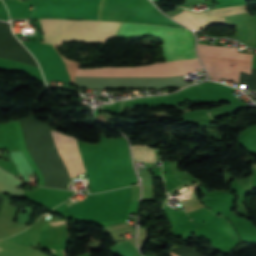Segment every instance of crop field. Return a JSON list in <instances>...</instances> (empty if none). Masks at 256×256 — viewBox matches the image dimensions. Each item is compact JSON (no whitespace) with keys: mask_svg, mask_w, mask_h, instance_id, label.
Instances as JSON below:
<instances>
[{"mask_svg":"<svg viewBox=\"0 0 256 256\" xmlns=\"http://www.w3.org/2000/svg\"><path fill=\"white\" fill-rule=\"evenodd\" d=\"M146 35L161 36L162 51L166 62L198 60L194 50V36L189 30L122 23L116 36L128 38ZM201 68L199 61H182L142 67L78 69L76 76L184 75L188 72L199 71Z\"/></svg>","mask_w":256,"mask_h":256,"instance_id":"crop-field-1","label":"crop field"},{"mask_svg":"<svg viewBox=\"0 0 256 256\" xmlns=\"http://www.w3.org/2000/svg\"><path fill=\"white\" fill-rule=\"evenodd\" d=\"M45 43L61 44L70 41L104 44L114 36L120 23L104 21H71L39 19Z\"/></svg>","mask_w":256,"mask_h":256,"instance_id":"crop-field-2","label":"crop field"},{"mask_svg":"<svg viewBox=\"0 0 256 256\" xmlns=\"http://www.w3.org/2000/svg\"><path fill=\"white\" fill-rule=\"evenodd\" d=\"M245 6L246 5L219 8L198 14H193L183 10L175 14L172 18L178 20L191 29L200 30L204 27L215 24H225L224 16L247 12Z\"/></svg>","mask_w":256,"mask_h":256,"instance_id":"crop-field-3","label":"crop field"},{"mask_svg":"<svg viewBox=\"0 0 256 256\" xmlns=\"http://www.w3.org/2000/svg\"><path fill=\"white\" fill-rule=\"evenodd\" d=\"M51 133L70 178L85 172L77 140L57 131H51Z\"/></svg>","mask_w":256,"mask_h":256,"instance_id":"crop-field-4","label":"crop field"},{"mask_svg":"<svg viewBox=\"0 0 256 256\" xmlns=\"http://www.w3.org/2000/svg\"><path fill=\"white\" fill-rule=\"evenodd\" d=\"M226 23L230 27L236 26V36H224L231 37L233 39L240 40L245 45L253 47L254 39V23L255 16L251 17L248 13L225 17ZM239 41V42H240Z\"/></svg>","mask_w":256,"mask_h":256,"instance_id":"crop-field-5","label":"crop field"},{"mask_svg":"<svg viewBox=\"0 0 256 256\" xmlns=\"http://www.w3.org/2000/svg\"><path fill=\"white\" fill-rule=\"evenodd\" d=\"M140 160L153 161V149L145 146H140Z\"/></svg>","mask_w":256,"mask_h":256,"instance_id":"crop-field-6","label":"crop field"},{"mask_svg":"<svg viewBox=\"0 0 256 256\" xmlns=\"http://www.w3.org/2000/svg\"><path fill=\"white\" fill-rule=\"evenodd\" d=\"M133 156L139 160V147L132 148Z\"/></svg>","mask_w":256,"mask_h":256,"instance_id":"crop-field-7","label":"crop field"},{"mask_svg":"<svg viewBox=\"0 0 256 256\" xmlns=\"http://www.w3.org/2000/svg\"><path fill=\"white\" fill-rule=\"evenodd\" d=\"M172 255H173V256H178V255L174 254L173 252H172Z\"/></svg>","mask_w":256,"mask_h":256,"instance_id":"crop-field-8","label":"crop field"}]
</instances>
